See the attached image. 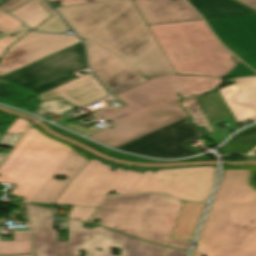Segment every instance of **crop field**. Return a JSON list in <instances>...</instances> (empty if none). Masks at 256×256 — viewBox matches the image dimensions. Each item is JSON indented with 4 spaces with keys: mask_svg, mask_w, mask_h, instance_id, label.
I'll return each mask as SVG.
<instances>
[{
    "mask_svg": "<svg viewBox=\"0 0 256 256\" xmlns=\"http://www.w3.org/2000/svg\"><path fill=\"white\" fill-rule=\"evenodd\" d=\"M200 95H193L181 102L182 107L189 113V115L194 119V123L201 126L204 130L213 133L212 128L204 117L195 97Z\"/></svg>",
    "mask_w": 256,
    "mask_h": 256,
    "instance_id": "21",
    "label": "crop field"
},
{
    "mask_svg": "<svg viewBox=\"0 0 256 256\" xmlns=\"http://www.w3.org/2000/svg\"><path fill=\"white\" fill-rule=\"evenodd\" d=\"M23 25L12 16L0 11V33L2 34H14Z\"/></svg>",
    "mask_w": 256,
    "mask_h": 256,
    "instance_id": "24",
    "label": "crop field"
},
{
    "mask_svg": "<svg viewBox=\"0 0 256 256\" xmlns=\"http://www.w3.org/2000/svg\"><path fill=\"white\" fill-rule=\"evenodd\" d=\"M9 13L20 18L32 29L52 15L41 7L39 0H29Z\"/></svg>",
    "mask_w": 256,
    "mask_h": 256,
    "instance_id": "18",
    "label": "crop field"
},
{
    "mask_svg": "<svg viewBox=\"0 0 256 256\" xmlns=\"http://www.w3.org/2000/svg\"><path fill=\"white\" fill-rule=\"evenodd\" d=\"M148 28L176 74L224 77L238 64L203 20Z\"/></svg>",
    "mask_w": 256,
    "mask_h": 256,
    "instance_id": "7",
    "label": "crop field"
},
{
    "mask_svg": "<svg viewBox=\"0 0 256 256\" xmlns=\"http://www.w3.org/2000/svg\"><path fill=\"white\" fill-rule=\"evenodd\" d=\"M111 167L91 158L53 204H37L54 208L56 203L96 206L110 191L117 194L161 192L197 201H207L216 180V166L160 169L144 174ZM161 180L162 182H159Z\"/></svg>",
    "mask_w": 256,
    "mask_h": 256,
    "instance_id": "3",
    "label": "crop field"
},
{
    "mask_svg": "<svg viewBox=\"0 0 256 256\" xmlns=\"http://www.w3.org/2000/svg\"><path fill=\"white\" fill-rule=\"evenodd\" d=\"M14 241H0V255L31 253L29 233H13Z\"/></svg>",
    "mask_w": 256,
    "mask_h": 256,
    "instance_id": "20",
    "label": "crop field"
},
{
    "mask_svg": "<svg viewBox=\"0 0 256 256\" xmlns=\"http://www.w3.org/2000/svg\"><path fill=\"white\" fill-rule=\"evenodd\" d=\"M55 9L87 39L88 63L112 94L144 80L140 74L175 73L131 0Z\"/></svg>",
    "mask_w": 256,
    "mask_h": 256,
    "instance_id": "2",
    "label": "crop field"
},
{
    "mask_svg": "<svg viewBox=\"0 0 256 256\" xmlns=\"http://www.w3.org/2000/svg\"><path fill=\"white\" fill-rule=\"evenodd\" d=\"M207 22L227 48L256 70V15Z\"/></svg>",
    "mask_w": 256,
    "mask_h": 256,
    "instance_id": "11",
    "label": "crop field"
},
{
    "mask_svg": "<svg viewBox=\"0 0 256 256\" xmlns=\"http://www.w3.org/2000/svg\"><path fill=\"white\" fill-rule=\"evenodd\" d=\"M146 25L202 19L184 0H132Z\"/></svg>",
    "mask_w": 256,
    "mask_h": 256,
    "instance_id": "13",
    "label": "crop field"
},
{
    "mask_svg": "<svg viewBox=\"0 0 256 256\" xmlns=\"http://www.w3.org/2000/svg\"><path fill=\"white\" fill-rule=\"evenodd\" d=\"M8 0H0V6L2 5V4H4L5 2H7Z\"/></svg>",
    "mask_w": 256,
    "mask_h": 256,
    "instance_id": "37",
    "label": "crop field"
},
{
    "mask_svg": "<svg viewBox=\"0 0 256 256\" xmlns=\"http://www.w3.org/2000/svg\"><path fill=\"white\" fill-rule=\"evenodd\" d=\"M33 127H35L37 130H39L43 135H45V136H47V137H49V138H51V139H54V140H56V141H59V142H61V143H63V144H66V143H64V142H62V141H60V140H58V139H56V138H54V137H52V136H50V135H48L45 131H43L40 127H38L37 125H33ZM66 145H68V144H66ZM68 146H70V145H68ZM72 149H74L77 153H79L80 155H82L83 157H85L86 159H90L93 155H91V154H89V153H87V152H84V151H82V150H80V149H77V148H75V147H73V146H70Z\"/></svg>",
    "mask_w": 256,
    "mask_h": 256,
    "instance_id": "30",
    "label": "crop field"
},
{
    "mask_svg": "<svg viewBox=\"0 0 256 256\" xmlns=\"http://www.w3.org/2000/svg\"><path fill=\"white\" fill-rule=\"evenodd\" d=\"M26 1L27 0H10L4 5H2L0 8L9 12Z\"/></svg>",
    "mask_w": 256,
    "mask_h": 256,
    "instance_id": "32",
    "label": "crop field"
},
{
    "mask_svg": "<svg viewBox=\"0 0 256 256\" xmlns=\"http://www.w3.org/2000/svg\"><path fill=\"white\" fill-rule=\"evenodd\" d=\"M86 68L83 45L80 42L9 73L3 78L20 84L37 95L79 77L76 72Z\"/></svg>",
    "mask_w": 256,
    "mask_h": 256,
    "instance_id": "8",
    "label": "crop field"
},
{
    "mask_svg": "<svg viewBox=\"0 0 256 256\" xmlns=\"http://www.w3.org/2000/svg\"><path fill=\"white\" fill-rule=\"evenodd\" d=\"M0 83H9V82L6 81V80H3V79L0 77Z\"/></svg>",
    "mask_w": 256,
    "mask_h": 256,
    "instance_id": "36",
    "label": "crop field"
},
{
    "mask_svg": "<svg viewBox=\"0 0 256 256\" xmlns=\"http://www.w3.org/2000/svg\"><path fill=\"white\" fill-rule=\"evenodd\" d=\"M205 18H221L256 14L235 0H188Z\"/></svg>",
    "mask_w": 256,
    "mask_h": 256,
    "instance_id": "16",
    "label": "crop field"
},
{
    "mask_svg": "<svg viewBox=\"0 0 256 256\" xmlns=\"http://www.w3.org/2000/svg\"><path fill=\"white\" fill-rule=\"evenodd\" d=\"M197 243L208 256H256V166H223Z\"/></svg>",
    "mask_w": 256,
    "mask_h": 256,
    "instance_id": "4",
    "label": "crop field"
},
{
    "mask_svg": "<svg viewBox=\"0 0 256 256\" xmlns=\"http://www.w3.org/2000/svg\"><path fill=\"white\" fill-rule=\"evenodd\" d=\"M57 100L58 99H56V100H49V101H45L43 103L38 104L37 106L40 109L35 111V112H33V113L37 114L39 116L44 117L41 114H43V113H45L47 111H50V112H52V113L62 117V116H64L63 113H65V112L75 108V107L69 105L68 103H66L65 101L59 103Z\"/></svg>",
    "mask_w": 256,
    "mask_h": 256,
    "instance_id": "22",
    "label": "crop field"
},
{
    "mask_svg": "<svg viewBox=\"0 0 256 256\" xmlns=\"http://www.w3.org/2000/svg\"><path fill=\"white\" fill-rule=\"evenodd\" d=\"M199 250H200V249H199ZM199 250H198V248H197L196 245H195L194 250H193L191 256H203V254H202Z\"/></svg>",
    "mask_w": 256,
    "mask_h": 256,
    "instance_id": "34",
    "label": "crop field"
},
{
    "mask_svg": "<svg viewBox=\"0 0 256 256\" xmlns=\"http://www.w3.org/2000/svg\"><path fill=\"white\" fill-rule=\"evenodd\" d=\"M222 84L221 78L168 74L148 80L118 95L128 106L111 107L98 114L99 121L112 120L106 128L88 137L126 152L154 158L198 154L183 146L202 136L180 101L204 94ZM202 138V137H201Z\"/></svg>",
    "mask_w": 256,
    "mask_h": 256,
    "instance_id": "1",
    "label": "crop field"
},
{
    "mask_svg": "<svg viewBox=\"0 0 256 256\" xmlns=\"http://www.w3.org/2000/svg\"><path fill=\"white\" fill-rule=\"evenodd\" d=\"M251 69L245 66L243 63H239L232 71H230L225 77L233 78L239 76L255 75Z\"/></svg>",
    "mask_w": 256,
    "mask_h": 256,
    "instance_id": "26",
    "label": "crop field"
},
{
    "mask_svg": "<svg viewBox=\"0 0 256 256\" xmlns=\"http://www.w3.org/2000/svg\"><path fill=\"white\" fill-rule=\"evenodd\" d=\"M30 123L32 122L24 118L18 117L6 133H23Z\"/></svg>",
    "mask_w": 256,
    "mask_h": 256,
    "instance_id": "28",
    "label": "crop field"
},
{
    "mask_svg": "<svg viewBox=\"0 0 256 256\" xmlns=\"http://www.w3.org/2000/svg\"><path fill=\"white\" fill-rule=\"evenodd\" d=\"M64 127L69 128V129H71L73 131H76L78 133H81L83 135L90 134V133H92L94 131H97V130L101 129L100 127H98L96 125H93V126L87 128V129H85L80 124H78V125L71 124V125L64 126Z\"/></svg>",
    "mask_w": 256,
    "mask_h": 256,
    "instance_id": "29",
    "label": "crop field"
},
{
    "mask_svg": "<svg viewBox=\"0 0 256 256\" xmlns=\"http://www.w3.org/2000/svg\"><path fill=\"white\" fill-rule=\"evenodd\" d=\"M53 130H55V131H57L59 133H62L64 135L68 136V137H71V138H73L75 140H78V141H80L82 143H85V144H87V145H89V146H91V147H93V148H95V149H97V150H99V151H101V152H103L105 154H108V155H110L112 157H116V158H120V159H125V160H129V161H133V162H140V163H161V162H163V161L149 160V159H145V158H141V157H137V156H133V155H128V154L113 152V151H111L109 149H106V148H104L102 146L94 144V143H92V142H90V141H88V140H86L84 138H81V137H79V136H77V135H75V134H73L71 132H68V131L60 128V127H57V128H55ZM183 161H194V158L186 159V160H183ZM168 162H179V161H168Z\"/></svg>",
    "mask_w": 256,
    "mask_h": 256,
    "instance_id": "19",
    "label": "crop field"
},
{
    "mask_svg": "<svg viewBox=\"0 0 256 256\" xmlns=\"http://www.w3.org/2000/svg\"><path fill=\"white\" fill-rule=\"evenodd\" d=\"M112 247L121 248V256H186V251L175 250L137 240L109 229L94 228L93 256H112ZM102 248V251H98Z\"/></svg>",
    "mask_w": 256,
    "mask_h": 256,
    "instance_id": "12",
    "label": "crop field"
},
{
    "mask_svg": "<svg viewBox=\"0 0 256 256\" xmlns=\"http://www.w3.org/2000/svg\"><path fill=\"white\" fill-rule=\"evenodd\" d=\"M221 151L223 154L247 153V145L234 139L228 142Z\"/></svg>",
    "mask_w": 256,
    "mask_h": 256,
    "instance_id": "25",
    "label": "crop field"
},
{
    "mask_svg": "<svg viewBox=\"0 0 256 256\" xmlns=\"http://www.w3.org/2000/svg\"><path fill=\"white\" fill-rule=\"evenodd\" d=\"M59 1L61 6L90 3V2H99L107 0H49V2Z\"/></svg>",
    "mask_w": 256,
    "mask_h": 256,
    "instance_id": "31",
    "label": "crop field"
},
{
    "mask_svg": "<svg viewBox=\"0 0 256 256\" xmlns=\"http://www.w3.org/2000/svg\"><path fill=\"white\" fill-rule=\"evenodd\" d=\"M206 204L184 202L170 239L192 241Z\"/></svg>",
    "mask_w": 256,
    "mask_h": 256,
    "instance_id": "17",
    "label": "crop field"
},
{
    "mask_svg": "<svg viewBox=\"0 0 256 256\" xmlns=\"http://www.w3.org/2000/svg\"><path fill=\"white\" fill-rule=\"evenodd\" d=\"M80 40L73 36L32 31L10 47L0 64V76L71 46Z\"/></svg>",
    "mask_w": 256,
    "mask_h": 256,
    "instance_id": "10",
    "label": "crop field"
},
{
    "mask_svg": "<svg viewBox=\"0 0 256 256\" xmlns=\"http://www.w3.org/2000/svg\"><path fill=\"white\" fill-rule=\"evenodd\" d=\"M41 1L45 9L55 13V15L52 18H50L48 21H46L44 24H42L40 27H38L36 30L46 31V32H63V31L69 30L67 25L62 21L59 15L49 7L47 2L45 0H41Z\"/></svg>",
    "mask_w": 256,
    "mask_h": 256,
    "instance_id": "23",
    "label": "crop field"
},
{
    "mask_svg": "<svg viewBox=\"0 0 256 256\" xmlns=\"http://www.w3.org/2000/svg\"><path fill=\"white\" fill-rule=\"evenodd\" d=\"M33 234L35 256H79V250L92 256L93 229H83V222L69 219V242H57L58 231L52 230L51 210L26 205Z\"/></svg>",
    "mask_w": 256,
    "mask_h": 256,
    "instance_id": "9",
    "label": "crop field"
},
{
    "mask_svg": "<svg viewBox=\"0 0 256 256\" xmlns=\"http://www.w3.org/2000/svg\"><path fill=\"white\" fill-rule=\"evenodd\" d=\"M241 1L242 3L256 9V0H239Z\"/></svg>",
    "mask_w": 256,
    "mask_h": 256,
    "instance_id": "33",
    "label": "crop field"
},
{
    "mask_svg": "<svg viewBox=\"0 0 256 256\" xmlns=\"http://www.w3.org/2000/svg\"><path fill=\"white\" fill-rule=\"evenodd\" d=\"M235 83L219 90L237 123L256 121V76L234 79Z\"/></svg>",
    "mask_w": 256,
    "mask_h": 256,
    "instance_id": "14",
    "label": "crop field"
},
{
    "mask_svg": "<svg viewBox=\"0 0 256 256\" xmlns=\"http://www.w3.org/2000/svg\"><path fill=\"white\" fill-rule=\"evenodd\" d=\"M107 95L101 83L90 73L41 93L37 97L39 100L62 97L71 104L83 107Z\"/></svg>",
    "mask_w": 256,
    "mask_h": 256,
    "instance_id": "15",
    "label": "crop field"
},
{
    "mask_svg": "<svg viewBox=\"0 0 256 256\" xmlns=\"http://www.w3.org/2000/svg\"><path fill=\"white\" fill-rule=\"evenodd\" d=\"M17 256H31V255H17Z\"/></svg>",
    "mask_w": 256,
    "mask_h": 256,
    "instance_id": "38",
    "label": "crop field"
},
{
    "mask_svg": "<svg viewBox=\"0 0 256 256\" xmlns=\"http://www.w3.org/2000/svg\"><path fill=\"white\" fill-rule=\"evenodd\" d=\"M88 160L71 148L31 129L0 167V182L14 184L23 202L53 203ZM54 176H68L60 181Z\"/></svg>",
    "mask_w": 256,
    "mask_h": 256,
    "instance_id": "5",
    "label": "crop field"
},
{
    "mask_svg": "<svg viewBox=\"0 0 256 256\" xmlns=\"http://www.w3.org/2000/svg\"><path fill=\"white\" fill-rule=\"evenodd\" d=\"M182 202L160 194L110 196L89 220L145 240L188 250L192 242L170 240ZM97 208L72 206L67 216L87 221Z\"/></svg>",
    "mask_w": 256,
    "mask_h": 256,
    "instance_id": "6",
    "label": "crop field"
},
{
    "mask_svg": "<svg viewBox=\"0 0 256 256\" xmlns=\"http://www.w3.org/2000/svg\"><path fill=\"white\" fill-rule=\"evenodd\" d=\"M3 134L0 133V138L2 137Z\"/></svg>",
    "mask_w": 256,
    "mask_h": 256,
    "instance_id": "39",
    "label": "crop field"
},
{
    "mask_svg": "<svg viewBox=\"0 0 256 256\" xmlns=\"http://www.w3.org/2000/svg\"><path fill=\"white\" fill-rule=\"evenodd\" d=\"M201 160H209L207 157H198V158H195V161H201Z\"/></svg>",
    "mask_w": 256,
    "mask_h": 256,
    "instance_id": "35",
    "label": "crop field"
},
{
    "mask_svg": "<svg viewBox=\"0 0 256 256\" xmlns=\"http://www.w3.org/2000/svg\"><path fill=\"white\" fill-rule=\"evenodd\" d=\"M29 29H23L18 34H16L14 37H7L3 36L0 38V56L5 53L7 50V47L11 45L13 42H15L18 38H20L22 35H24Z\"/></svg>",
    "mask_w": 256,
    "mask_h": 256,
    "instance_id": "27",
    "label": "crop field"
}]
</instances>
